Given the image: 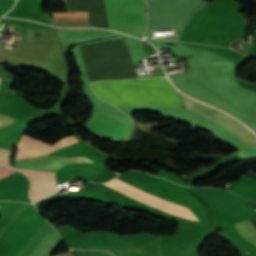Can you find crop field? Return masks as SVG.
Wrapping results in <instances>:
<instances>
[{
    "instance_id": "obj_11",
    "label": "crop field",
    "mask_w": 256,
    "mask_h": 256,
    "mask_svg": "<svg viewBox=\"0 0 256 256\" xmlns=\"http://www.w3.org/2000/svg\"><path fill=\"white\" fill-rule=\"evenodd\" d=\"M15 171L0 165V179L7 177Z\"/></svg>"
},
{
    "instance_id": "obj_10",
    "label": "crop field",
    "mask_w": 256,
    "mask_h": 256,
    "mask_svg": "<svg viewBox=\"0 0 256 256\" xmlns=\"http://www.w3.org/2000/svg\"><path fill=\"white\" fill-rule=\"evenodd\" d=\"M12 123H13V118L6 115H0V128L10 125Z\"/></svg>"
},
{
    "instance_id": "obj_5",
    "label": "crop field",
    "mask_w": 256,
    "mask_h": 256,
    "mask_svg": "<svg viewBox=\"0 0 256 256\" xmlns=\"http://www.w3.org/2000/svg\"><path fill=\"white\" fill-rule=\"evenodd\" d=\"M180 96L186 108L227 127L234 134H236L243 142L256 145V136L234 118L220 111H217L203 103L190 99L182 95L181 93Z\"/></svg>"
},
{
    "instance_id": "obj_12",
    "label": "crop field",
    "mask_w": 256,
    "mask_h": 256,
    "mask_svg": "<svg viewBox=\"0 0 256 256\" xmlns=\"http://www.w3.org/2000/svg\"><path fill=\"white\" fill-rule=\"evenodd\" d=\"M131 60V59H130ZM131 64H132V62H131ZM133 65V64H132Z\"/></svg>"
},
{
    "instance_id": "obj_1",
    "label": "crop field",
    "mask_w": 256,
    "mask_h": 256,
    "mask_svg": "<svg viewBox=\"0 0 256 256\" xmlns=\"http://www.w3.org/2000/svg\"><path fill=\"white\" fill-rule=\"evenodd\" d=\"M77 142L79 141L73 135H70L50 146L44 142L23 135L15 149L14 159L49 154L57 149ZM72 163L94 162L85 157L63 158L46 155L35 158L14 160V167L56 172L60 167ZM16 170H19L28 176L31 182L30 196L32 201L36 202L37 200L57 191L55 188L54 173L24 169Z\"/></svg>"
},
{
    "instance_id": "obj_3",
    "label": "crop field",
    "mask_w": 256,
    "mask_h": 256,
    "mask_svg": "<svg viewBox=\"0 0 256 256\" xmlns=\"http://www.w3.org/2000/svg\"><path fill=\"white\" fill-rule=\"evenodd\" d=\"M28 204L22 203L19 208L10 216V218L1 226V233L12 223V221L23 211V209ZM52 226L47 223L45 220L20 252L18 256H30L43 237L47 234ZM61 238L56 232V230L52 227L48 234L44 237L35 251L31 256H50L51 253L55 250V248L60 244Z\"/></svg>"
},
{
    "instance_id": "obj_4",
    "label": "crop field",
    "mask_w": 256,
    "mask_h": 256,
    "mask_svg": "<svg viewBox=\"0 0 256 256\" xmlns=\"http://www.w3.org/2000/svg\"><path fill=\"white\" fill-rule=\"evenodd\" d=\"M109 24L146 28L143 0H105Z\"/></svg>"
},
{
    "instance_id": "obj_8",
    "label": "crop field",
    "mask_w": 256,
    "mask_h": 256,
    "mask_svg": "<svg viewBox=\"0 0 256 256\" xmlns=\"http://www.w3.org/2000/svg\"><path fill=\"white\" fill-rule=\"evenodd\" d=\"M234 226L241 236L256 245V230L251 227L248 221L235 223Z\"/></svg>"
},
{
    "instance_id": "obj_9",
    "label": "crop field",
    "mask_w": 256,
    "mask_h": 256,
    "mask_svg": "<svg viewBox=\"0 0 256 256\" xmlns=\"http://www.w3.org/2000/svg\"><path fill=\"white\" fill-rule=\"evenodd\" d=\"M12 152L13 151H11V150H6V149L0 148V163H3L5 165L12 167L10 165V158H11Z\"/></svg>"
},
{
    "instance_id": "obj_2",
    "label": "crop field",
    "mask_w": 256,
    "mask_h": 256,
    "mask_svg": "<svg viewBox=\"0 0 256 256\" xmlns=\"http://www.w3.org/2000/svg\"><path fill=\"white\" fill-rule=\"evenodd\" d=\"M170 82V81H169ZM167 78L92 83L96 95L115 106H182Z\"/></svg>"
},
{
    "instance_id": "obj_7",
    "label": "crop field",
    "mask_w": 256,
    "mask_h": 256,
    "mask_svg": "<svg viewBox=\"0 0 256 256\" xmlns=\"http://www.w3.org/2000/svg\"><path fill=\"white\" fill-rule=\"evenodd\" d=\"M85 124L101 136L116 138H122L126 128V125L103 115L95 108L92 110L90 120Z\"/></svg>"
},
{
    "instance_id": "obj_6",
    "label": "crop field",
    "mask_w": 256,
    "mask_h": 256,
    "mask_svg": "<svg viewBox=\"0 0 256 256\" xmlns=\"http://www.w3.org/2000/svg\"><path fill=\"white\" fill-rule=\"evenodd\" d=\"M214 205L234 216L240 215L248 210L242 198L224 189L204 188Z\"/></svg>"
}]
</instances>
